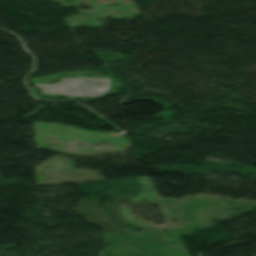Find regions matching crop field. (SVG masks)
<instances>
[{
	"mask_svg": "<svg viewBox=\"0 0 256 256\" xmlns=\"http://www.w3.org/2000/svg\"><path fill=\"white\" fill-rule=\"evenodd\" d=\"M35 87L41 88V93L77 95L88 97H101L109 89L110 79L104 78H62L57 84H37Z\"/></svg>",
	"mask_w": 256,
	"mask_h": 256,
	"instance_id": "1",
	"label": "crop field"
}]
</instances>
